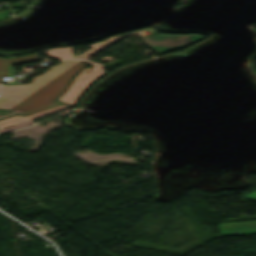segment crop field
I'll list each match as a JSON object with an SVG mask.
<instances>
[{"instance_id": "10", "label": "crop field", "mask_w": 256, "mask_h": 256, "mask_svg": "<svg viewBox=\"0 0 256 256\" xmlns=\"http://www.w3.org/2000/svg\"><path fill=\"white\" fill-rule=\"evenodd\" d=\"M30 124H33V122L29 121V122L22 123V124H19V125H16V126H12V127L6 128V129H2V130H0V133L6 132V131H9V130H13V129H16V128H19V127H23V126H26V125H30Z\"/></svg>"}, {"instance_id": "7", "label": "crop field", "mask_w": 256, "mask_h": 256, "mask_svg": "<svg viewBox=\"0 0 256 256\" xmlns=\"http://www.w3.org/2000/svg\"><path fill=\"white\" fill-rule=\"evenodd\" d=\"M46 53L50 58L58 59V60L73 57L71 47L70 48H55V49L47 50Z\"/></svg>"}, {"instance_id": "9", "label": "crop field", "mask_w": 256, "mask_h": 256, "mask_svg": "<svg viewBox=\"0 0 256 256\" xmlns=\"http://www.w3.org/2000/svg\"><path fill=\"white\" fill-rule=\"evenodd\" d=\"M11 60H12V64L15 65V64L27 63V62H32V61H38L39 58H38L37 54H35V55H30V56L13 58Z\"/></svg>"}, {"instance_id": "2", "label": "crop field", "mask_w": 256, "mask_h": 256, "mask_svg": "<svg viewBox=\"0 0 256 256\" xmlns=\"http://www.w3.org/2000/svg\"><path fill=\"white\" fill-rule=\"evenodd\" d=\"M77 61H80V60H77ZM83 61L88 63H93L94 67L91 70H89L90 68L85 67L75 77L72 84L68 88L67 92L57 100H60L62 102L75 106L77 100L84 93V91L87 89L89 84L106 72V71H103L104 66L100 65L99 63H96L90 60H83Z\"/></svg>"}, {"instance_id": "8", "label": "crop field", "mask_w": 256, "mask_h": 256, "mask_svg": "<svg viewBox=\"0 0 256 256\" xmlns=\"http://www.w3.org/2000/svg\"><path fill=\"white\" fill-rule=\"evenodd\" d=\"M12 72L14 71L11 64V60L0 58V83L2 76L11 75Z\"/></svg>"}, {"instance_id": "5", "label": "crop field", "mask_w": 256, "mask_h": 256, "mask_svg": "<svg viewBox=\"0 0 256 256\" xmlns=\"http://www.w3.org/2000/svg\"><path fill=\"white\" fill-rule=\"evenodd\" d=\"M67 108H70V106L63 105V106L53 108V109H50V110H47V111H44L41 113H37V114L31 115V116H27V117L14 116V117L2 119V120H0V129L6 128V127H9L12 125H16V124H19L22 122H26V121H29V120H32V119H35L38 117H42V116H45V115H48V114H51V113H54V112H57L60 110L67 109Z\"/></svg>"}, {"instance_id": "1", "label": "crop field", "mask_w": 256, "mask_h": 256, "mask_svg": "<svg viewBox=\"0 0 256 256\" xmlns=\"http://www.w3.org/2000/svg\"><path fill=\"white\" fill-rule=\"evenodd\" d=\"M83 66L81 62L66 60L55 65L29 85L1 87L0 108L20 110L29 114L61 104L53 100L66 90L72 77Z\"/></svg>"}, {"instance_id": "6", "label": "crop field", "mask_w": 256, "mask_h": 256, "mask_svg": "<svg viewBox=\"0 0 256 256\" xmlns=\"http://www.w3.org/2000/svg\"><path fill=\"white\" fill-rule=\"evenodd\" d=\"M136 33H138V32L134 31V32L126 33V34H121V35L110 37L102 42L91 44L90 46H88L89 48H91L90 50L78 55L76 58H89L92 55H94L96 52H98L99 50L115 43L119 39L127 37L131 34H136Z\"/></svg>"}, {"instance_id": "3", "label": "crop field", "mask_w": 256, "mask_h": 256, "mask_svg": "<svg viewBox=\"0 0 256 256\" xmlns=\"http://www.w3.org/2000/svg\"><path fill=\"white\" fill-rule=\"evenodd\" d=\"M140 40L150 47L158 55L165 53L170 50L178 49L187 46L190 43L202 39V36L199 35H163L156 34L144 38L143 36H138Z\"/></svg>"}, {"instance_id": "4", "label": "crop field", "mask_w": 256, "mask_h": 256, "mask_svg": "<svg viewBox=\"0 0 256 256\" xmlns=\"http://www.w3.org/2000/svg\"><path fill=\"white\" fill-rule=\"evenodd\" d=\"M218 225L222 236L256 234V221Z\"/></svg>"}]
</instances>
